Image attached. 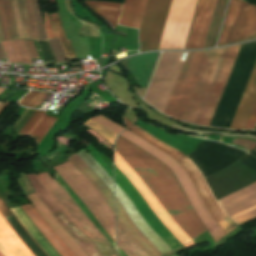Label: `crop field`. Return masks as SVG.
I'll use <instances>...</instances> for the list:
<instances>
[{
  "label": "crop field",
  "mask_w": 256,
  "mask_h": 256,
  "mask_svg": "<svg viewBox=\"0 0 256 256\" xmlns=\"http://www.w3.org/2000/svg\"><path fill=\"white\" fill-rule=\"evenodd\" d=\"M27 199L33 204L36 212L41 218L49 225L59 239L65 244V246L72 252L74 256H87L77 242L64 230L54 216L43 205L39 198L34 195L26 196Z\"/></svg>",
  "instance_id": "d9b57169"
},
{
  "label": "crop field",
  "mask_w": 256,
  "mask_h": 256,
  "mask_svg": "<svg viewBox=\"0 0 256 256\" xmlns=\"http://www.w3.org/2000/svg\"><path fill=\"white\" fill-rule=\"evenodd\" d=\"M55 178L57 182L61 185V187L66 191V193L72 198V200L79 206V208L85 213V215L90 219V221L94 224V226L105 236V238L109 241L112 247L116 251V246L105 231V229L101 226V224L96 220V218L91 214V212L87 209V207L83 204V202L79 199V197L74 193V191L68 186V184L61 178L58 173H55Z\"/></svg>",
  "instance_id": "eef30255"
},
{
  "label": "crop field",
  "mask_w": 256,
  "mask_h": 256,
  "mask_svg": "<svg viewBox=\"0 0 256 256\" xmlns=\"http://www.w3.org/2000/svg\"><path fill=\"white\" fill-rule=\"evenodd\" d=\"M26 1V6H27V12H28V19H29V24L31 28V33H32V38L33 40H40L35 19H34V13H33V7L31 4V0H25Z\"/></svg>",
  "instance_id": "d32e631a"
},
{
  "label": "crop field",
  "mask_w": 256,
  "mask_h": 256,
  "mask_svg": "<svg viewBox=\"0 0 256 256\" xmlns=\"http://www.w3.org/2000/svg\"><path fill=\"white\" fill-rule=\"evenodd\" d=\"M18 1H19L20 9H21V15H22L23 25H24V29H25L26 39L32 40L30 28H29V24H28V20H27L25 2H24V0H18Z\"/></svg>",
  "instance_id": "028f5c9d"
},
{
  "label": "crop field",
  "mask_w": 256,
  "mask_h": 256,
  "mask_svg": "<svg viewBox=\"0 0 256 256\" xmlns=\"http://www.w3.org/2000/svg\"><path fill=\"white\" fill-rule=\"evenodd\" d=\"M172 0H148L142 21L140 52L158 50Z\"/></svg>",
  "instance_id": "d8731c3e"
},
{
  "label": "crop field",
  "mask_w": 256,
  "mask_h": 256,
  "mask_svg": "<svg viewBox=\"0 0 256 256\" xmlns=\"http://www.w3.org/2000/svg\"><path fill=\"white\" fill-rule=\"evenodd\" d=\"M158 54L148 53L128 59L129 71L138 85L146 87Z\"/></svg>",
  "instance_id": "bc2a9ffb"
},
{
  "label": "crop field",
  "mask_w": 256,
  "mask_h": 256,
  "mask_svg": "<svg viewBox=\"0 0 256 256\" xmlns=\"http://www.w3.org/2000/svg\"><path fill=\"white\" fill-rule=\"evenodd\" d=\"M115 165L127 177V179L138 190L146 203L160 219V221L176 236V238L183 244L192 241L173 221L170 215L162 208L158 200L144 185L137 174L123 161L120 155L115 150Z\"/></svg>",
  "instance_id": "3316defc"
},
{
  "label": "crop field",
  "mask_w": 256,
  "mask_h": 256,
  "mask_svg": "<svg viewBox=\"0 0 256 256\" xmlns=\"http://www.w3.org/2000/svg\"><path fill=\"white\" fill-rule=\"evenodd\" d=\"M56 120L55 117L44 115L42 120L39 122V124L35 127V129L31 132L29 137H32L35 139L37 145L43 138V136L46 134L48 129L51 127V125Z\"/></svg>",
  "instance_id": "bd1437ed"
},
{
  "label": "crop field",
  "mask_w": 256,
  "mask_h": 256,
  "mask_svg": "<svg viewBox=\"0 0 256 256\" xmlns=\"http://www.w3.org/2000/svg\"><path fill=\"white\" fill-rule=\"evenodd\" d=\"M215 1L216 0H198L185 49H198L203 47Z\"/></svg>",
  "instance_id": "cbeb9de0"
},
{
  "label": "crop field",
  "mask_w": 256,
  "mask_h": 256,
  "mask_svg": "<svg viewBox=\"0 0 256 256\" xmlns=\"http://www.w3.org/2000/svg\"><path fill=\"white\" fill-rule=\"evenodd\" d=\"M256 101V65L230 129H244ZM256 123V103L245 129H253Z\"/></svg>",
  "instance_id": "5142ce71"
},
{
  "label": "crop field",
  "mask_w": 256,
  "mask_h": 256,
  "mask_svg": "<svg viewBox=\"0 0 256 256\" xmlns=\"http://www.w3.org/2000/svg\"><path fill=\"white\" fill-rule=\"evenodd\" d=\"M5 53L10 62H18L11 40L2 42Z\"/></svg>",
  "instance_id": "e1f06a70"
},
{
  "label": "crop field",
  "mask_w": 256,
  "mask_h": 256,
  "mask_svg": "<svg viewBox=\"0 0 256 256\" xmlns=\"http://www.w3.org/2000/svg\"><path fill=\"white\" fill-rule=\"evenodd\" d=\"M0 24L5 40L17 38L10 0H0Z\"/></svg>",
  "instance_id": "730fd06b"
},
{
  "label": "crop field",
  "mask_w": 256,
  "mask_h": 256,
  "mask_svg": "<svg viewBox=\"0 0 256 256\" xmlns=\"http://www.w3.org/2000/svg\"><path fill=\"white\" fill-rule=\"evenodd\" d=\"M22 209L28 215V217L33 221L41 233L46 237V239L51 243V245L62 255V256H73L68 249L63 245V243L58 239V237L52 232V230L47 226V224L40 218V216L33 210L31 205L22 206Z\"/></svg>",
  "instance_id": "dafd665d"
},
{
  "label": "crop field",
  "mask_w": 256,
  "mask_h": 256,
  "mask_svg": "<svg viewBox=\"0 0 256 256\" xmlns=\"http://www.w3.org/2000/svg\"><path fill=\"white\" fill-rule=\"evenodd\" d=\"M7 206L4 204V202L1 200L0 198V213L4 210H7ZM11 212V211H10ZM12 213V212H11ZM2 215V213H1ZM12 215L14 216V214L12 213ZM3 216V215H2ZM4 217V216H3ZM15 217V216H14ZM15 219L17 220V218L15 217ZM18 221V220H17ZM19 223V222H18ZM20 224V223H19ZM21 225V224H20ZM22 227V226H21ZM23 228V227H22ZM24 229V228H23ZM25 230V229H24ZM26 231V230H25ZM27 232V231H26ZM31 237V236H30ZM21 238V237H20ZM32 238V237H31ZM22 239V238H21ZM26 244V243H25ZM27 245V244H26ZM38 245V244H37ZM28 246V245H27ZM29 248V247H28ZM30 249V248H29ZM45 253V252H44Z\"/></svg>",
  "instance_id": "425ffa30"
},
{
  "label": "crop field",
  "mask_w": 256,
  "mask_h": 256,
  "mask_svg": "<svg viewBox=\"0 0 256 256\" xmlns=\"http://www.w3.org/2000/svg\"><path fill=\"white\" fill-rule=\"evenodd\" d=\"M239 46L209 51L183 121L209 125Z\"/></svg>",
  "instance_id": "ac0d7876"
},
{
  "label": "crop field",
  "mask_w": 256,
  "mask_h": 256,
  "mask_svg": "<svg viewBox=\"0 0 256 256\" xmlns=\"http://www.w3.org/2000/svg\"><path fill=\"white\" fill-rule=\"evenodd\" d=\"M232 144L245 147L249 150L256 147V142L251 141V140L235 139V140L232 141Z\"/></svg>",
  "instance_id": "c035e120"
},
{
  "label": "crop field",
  "mask_w": 256,
  "mask_h": 256,
  "mask_svg": "<svg viewBox=\"0 0 256 256\" xmlns=\"http://www.w3.org/2000/svg\"><path fill=\"white\" fill-rule=\"evenodd\" d=\"M118 250H119V254L121 255V256H126L125 254H124V252L118 247Z\"/></svg>",
  "instance_id": "dbb93151"
},
{
  "label": "crop field",
  "mask_w": 256,
  "mask_h": 256,
  "mask_svg": "<svg viewBox=\"0 0 256 256\" xmlns=\"http://www.w3.org/2000/svg\"><path fill=\"white\" fill-rule=\"evenodd\" d=\"M114 196L117 198L134 225L161 251L162 254L168 250H171V248L163 240H161L141 218L133 204L116 185V183Z\"/></svg>",
  "instance_id": "733c2abd"
},
{
  "label": "crop field",
  "mask_w": 256,
  "mask_h": 256,
  "mask_svg": "<svg viewBox=\"0 0 256 256\" xmlns=\"http://www.w3.org/2000/svg\"><path fill=\"white\" fill-rule=\"evenodd\" d=\"M114 200L118 211L117 220L121 226L141 245V247L150 256H161L162 254L159 252V250L133 225L115 197Z\"/></svg>",
  "instance_id": "214f88e0"
},
{
  "label": "crop field",
  "mask_w": 256,
  "mask_h": 256,
  "mask_svg": "<svg viewBox=\"0 0 256 256\" xmlns=\"http://www.w3.org/2000/svg\"><path fill=\"white\" fill-rule=\"evenodd\" d=\"M93 241V240H92ZM103 256H117L113 249L108 244L93 241Z\"/></svg>",
  "instance_id": "0bd39190"
},
{
  "label": "crop field",
  "mask_w": 256,
  "mask_h": 256,
  "mask_svg": "<svg viewBox=\"0 0 256 256\" xmlns=\"http://www.w3.org/2000/svg\"><path fill=\"white\" fill-rule=\"evenodd\" d=\"M32 187L37 193L40 200L50 210V212L57 218L60 224L66 229V231L78 242L82 249L88 256H102L87 236L81 232L72 221L65 215L60 207L52 199L51 195L46 191L37 175L26 174Z\"/></svg>",
  "instance_id": "28ad6ade"
},
{
  "label": "crop field",
  "mask_w": 256,
  "mask_h": 256,
  "mask_svg": "<svg viewBox=\"0 0 256 256\" xmlns=\"http://www.w3.org/2000/svg\"><path fill=\"white\" fill-rule=\"evenodd\" d=\"M147 0H125L119 24L140 29Z\"/></svg>",
  "instance_id": "92a150f3"
},
{
  "label": "crop field",
  "mask_w": 256,
  "mask_h": 256,
  "mask_svg": "<svg viewBox=\"0 0 256 256\" xmlns=\"http://www.w3.org/2000/svg\"><path fill=\"white\" fill-rule=\"evenodd\" d=\"M20 63L32 64L23 40H12Z\"/></svg>",
  "instance_id": "120bbe31"
},
{
  "label": "crop field",
  "mask_w": 256,
  "mask_h": 256,
  "mask_svg": "<svg viewBox=\"0 0 256 256\" xmlns=\"http://www.w3.org/2000/svg\"><path fill=\"white\" fill-rule=\"evenodd\" d=\"M90 154L97 160V162L104 168V170L110 175V177L113 179L112 177V171L109 169V167L104 163V161L98 157L92 150L89 151Z\"/></svg>",
  "instance_id": "d23c7cc5"
},
{
  "label": "crop field",
  "mask_w": 256,
  "mask_h": 256,
  "mask_svg": "<svg viewBox=\"0 0 256 256\" xmlns=\"http://www.w3.org/2000/svg\"><path fill=\"white\" fill-rule=\"evenodd\" d=\"M87 6L97 15L107 20L112 26H116L121 7L120 4H114L101 1L85 0Z\"/></svg>",
  "instance_id": "4177f3b9"
},
{
  "label": "crop field",
  "mask_w": 256,
  "mask_h": 256,
  "mask_svg": "<svg viewBox=\"0 0 256 256\" xmlns=\"http://www.w3.org/2000/svg\"><path fill=\"white\" fill-rule=\"evenodd\" d=\"M92 119L96 120L97 122L101 123L102 125L106 126L107 128H109L110 130L114 131L117 134L125 129L100 114Z\"/></svg>",
  "instance_id": "5866460e"
},
{
  "label": "crop field",
  "mask_w": 256,
  "mask_h": 256,
  "mask_svg": "<svg viewBox=\"0 0 256 256\" xmlns=\"http://www.w3.org/2000/svg\"><path fill=\"white\" fill-rule=\"evenodd\" d=\"M129 129H131L132 131H134L135 133L140 135L142 138L147 140L149 143H151L155 147L159 148L163 152L172 156L185 168V170L187 171V173L193 180L195 186L197 187L210 214L213 216V218L216 220V222L219 224V226L224 230V232L226 234L229 233L231 230H233L235 227H237L223 213L222 209L220 208L217 201L215 200V198H214L206 180L204 179L203 175L201 174L200 170L196 167V165L187 156L181 154L180 152L169 147L168 145L155 139L154 137L149 135L147 132H145L144 130H142L136 126H133Z\"/></svg>",
  "instance_id": "f4fd0767"
},
{
  "label": "crop field",
  "mask_w": 256,
  "mask_h": 256,
  "mask_svg": "<svg viewBox=\"0 0 256 256\" xmlns=\"http://www.w3.org/2000/svg\"><path fill=\"white\" fill-rule=\"evenodd\" d=\"M255 130H256V126H255V128H254Z\"/></svg>",
  "instance_id": "1d79db26"
},
{
  "label": "crop field",
  "mask_w": 256,
  "mask_h": 256,
  "mask_svg": "<svg viewBox=\"0 0 256 256\" xmlns=\"http://www.w3.org/2000/svg\"><path fill=\"white\" fill-rule=\"evenodd\" d=\"M254 37H256V5L232 0L219 45Z\"/></svg>",
  "instance_id": "e52e79f7"
},
{
  "label": "crop field",
  "mask_w": 256,
  "mask_h": 256,
  "mask_svg": "<svg viewBox=\"0 0 256 256\" xmlns=\"http://www.w3.org/2000/svg\"><path fill=\"white\" fill-rule=\"evenodd\" d=\"M0 252L5 256H33L17 234L0 215ZM0 253V256H4Z\"/></svg>",
  "instance_id": "4a817a6b"
},
{
  "label": "crop field",
  "mask_w": 256,
  "mask_h": 256,
  "mask_svg": "<svg viewBox=\"0 0 256 256\" xmlns=\"http://www.w3.org/2000/svg\"><path fill=\"white\" fill-rule=\"evenodd\" d=\"M77 154L99 176V178L105 183L110 191L113 192V180L101 168V166L84 150L78 151Z\"/></svg>",
  "instance_id": "750c4746"
},
{
  "label": "crop field",
  "mask_w": 256,
  "mask_h": 256,
  "mask_svg": "<svg viewBox=\"0 0 256 256\" xmlns=\"http://www.w3.org/2000/svg\"><path fill=\"white\" fill-rule=\"evenodd\" d=\"M84 125L92 128L94 131H96L100 136H102L105 140H107L110 144L113 145L115 137L117 134H115L114 132L110 131L109 129H107L106 127L102 126L101 124L93 121V120H89L87 121ZM87 127V128H88ZM89 128V129H90ZM91 129V130H92ZM111 145V146H112Z\"/></svg>",
  "instance_id": "1d83c4d3"
},
{
  "label": "crop field",
  "mask_w": 256,
  "mask_h": 256,
  "mask_svg": "<svg viewBox=\"0 0 256 256\" xmlns=\"http://www.w3.org/2000/svg\"><path fill=\"white\" fill-rule=\"evenodd\" d=\"M50 16H51L55 36L59 38L60 43H61L68 59L75 60L76 59L75 52L72 48L70 41L69 40L67 41V39H66L62 24L60 22L59 14L54 13V14H50Z\"/></svg>",
  "instance_id": "d3111659"
},
{
  "label": "crop field",
  "mask_w": 256,
  "mask_h": 256,
  "mask_svg": "<svg viewBox=\"0 0 256 256\" xmlns=\"http://www.w3.org/2000/svg\"><path fill=\"white\" fill-rule=\"evenodd\" d=\"M45 114L44 111H41L40 114L37 116V118L34 120V122L29 126V128L22 134V136L27 137L29 133L34 129V127L38 124V122L41 120L43 115Z\"/></svg>",
  "instance_id": "5d738f31"
},
{
  "label": "crop field",
  "mask_w": 256,
  "mask_h": 256,
  "mask_svg": "<svg viewBox=\"0 0 256 256\" xmlns=\"http://www.w3.org/2000/svg\"><path fill=\"white\" fill-rule=\"evenodd\" d=\"M44 15H45V24H44V26H45L47 38L48 39L55 38L54 34H53V31H52V28H51V25H50V22H49L47 11L44 12Z\"/></svg>",
  "instance_id": "03da06ac"
},
{
  "label": "crop field",
  "mask_w": 256,
  "mask_h": 256,
  "mask_svg": "<svg viewBox=\"0 0 256 256\" xmlns=\"http://www.w3.org/2000/svg\"><path fill=\"white\" fill-rule=\"evenodd\" d=\"M49 95H50L49 93L41 92L26 107L36 109Z\"/></svg>",
  "instance_id": "b80d0937"
},
{
  "label": "crop field",
  "mask_w": 256,
  "mask_h": 256,
  "mask_svg": "<svg viewBox=\"0 0 256 256\" xmlns=\"http://www.w3.org/2000/svg\"><path fill=\"white\" fill-rule=\"evenodd\" d=\"M73 165H75L95 186V188L100 192V194L105 198V200L110 205L111 209L115 213V207L112 199V193L103 184V182L97 177V175L77 156V154H72L67 158Z\"/></svg>",
  "instance_id": "a9b5d70f"
},
{
  "label": "crop field",
  "mask_w": 256,
  "mask_h": 256,
  "mask_svg": "<svg viewBox=\"0 0 256 256\" xmlns=\"http://www.w3.org/2000/svg\"><path fill=\"white\" fill-rule=\"evenodd\" d=\"M9 103L4 102V104L2 105V107L0 108V115L2 114V112L5 110V108L8 106Z\"/></svg>",
  "instance_id": "89e229c0"
},
{
  "label": "crop field",
  "mask_w": 256,
  "mask_h": 256,
  "mask_svg": "<svg viewBox=\"0 0 256 256\" xmlns=\"http://www.w3.org/2000/svg\"><path fill=\"white\" fill-rule=\"evenodd\" d=\"M209 50L189 52L165 114L181 120Z\"/></svg>",
  "instance_id": "dd49c442"
},
{
  "label": "crop field",
  "mask_w": 256,
  "mask_h": 256,
  "mask_svg": "<svg viewBox=\"0 0 256 256\" xmlns=\"http://www.w3.org/2000/svg\"><path fill=\"white\" fill-rule=\"evenodd\" d=\"M218 203L237 226L256 218V182L218 200Z\"/></svg>",
  "instance_id": "22f410ed"
},
{
  "label": "crop field",
  "mask_w": 256,
  "mask_h": 256,
  "mask_svg": "<svg viewBox=\"0 0 256 256\" xmlns=\"http://www.w3.org/2000/svg\"><path fill=\"white\" fill-rule=\"evenodd\" d=\"M123 120L126 124V128L128 129L129 127L133 126L132 122H130L129 120H127L126 118L123 117Z\"/></svg>",
  "instance_id": "73cf0c24"
},
{
  "label": "crop field",
  "mask_w": 256,
  "mask_h": 256,
  "mask_svg": "<svg viewBox=\"0 0 256 256\" xmlns=\"http://www.w3.org/2000/svg\"><path fill=\"white\" fill-rule=\"evenodd\" d=\"M2 104H3V102L0 101V107H1Z\"/></svg>",
  "instance_id": "0fb4a251"
},
{
  "label": "crop field",
  "mask_w": 256,
  "mask_h": 256,
  "mask_svg": "<svg viewBox=\"0 0 256 256\" xmlns=\"http://www.w3.org/2000/svg\"><path fill=\"white\" fill-rule=\"evenodd\" d=\"M24 41H25V44H26V47L28 49L30 57L31 58H40L39 54H38V52H37V50L35 48L34 43L31 42V41H26V40H24Z\"/></svg>",
  "instance_id": "c21b1889"
},
{
  "label": "crop field",
  "mask_w": 256,
  "mask_h": 256,
  "mask_svg": "<svg viewBox=\"0 0 256 256\" xmlns=\"http://www.w3.org/2000/svg\"><path fill=\"white\" fill-rule=\"evenodd\" d=\"M120 135H122L123 137H125L126 139L131 141L132 143L136 144L137 146H139L146 152L150 153L154 157L160 159L173 171L175 176L178 178L183 190L185 191L186 195L188 196L189 200L191 201L193 207L195 208L198 216L203 221L204 225L206 226L209 234L211 235V237L213 238L215 243L222 236L225 235L224 232L222 231V229L217 225L215 220L209 214V212H208L206 206L204 205L201 197L199 196L192 180L190 179V177L188 176V174L186 173L184 168L177 161H175L169 155L158 150L154 146L150 145L144 139H142L138 135L130 132L129 130H125Z\"/></svg>",
  "instance_id": "34b2d1b8"
},
{
  "label": "crop field",
  "mask_w": 256,
  "mask_h": 256,
  "mask_svg": "<svg viewBox=\"0 0 256 256\" xmlns=\"http://www.w3.org/2000/svg\"><path fill=\"white\" fill-rule=\"evenodd\" d=\"M38 176L57 204L81 231H83L90 239L108 243L103 235L93 226L84 213L72 202L53 178H50L47 173Z\"/></svg>",
  "instance_id": "5a996713"
},
{
  "label": "crop field",
  "mask_w": 256,
  "mask_h": 256,
  "mask_svg": "<svg viewBox=\"0 0 256 256\" xmlns=\"http://www.w3.org/2000/svg\"><path fill=\"white\" fill-rule=\"evenodd\" d=\"M53 169L69 184L115 241V215L94 186L69 161Z\"/></svg>",
  "instance_id": "412701ff"
},
{
  "label": "crop field",
  "mask_w": 256,
  "mask_h": 256,
  "mask_svg": "<svg viewBox=\"0 0 256 256\" xmlns=\"http://www.w3.org/2000/svg\"><path fill=\"white\" fill-rule=\"evenodd\" d=\"M115 149L192 240L207 231L176 177L164 163L120 135Z\"/></svg>",
  "instance_id": "8a807250"
},
{
  "label": "crop field",
  "mask_w": 256,
  "mask_h": 256,
  "mask_svg": "<svg viewBox=\"0 0 256 256\" xmlns=\"http://www.w3.org/2000/svg\"><path fill=\"white\" fill-rule=\"evenodd\" d=\"M115 182L129 197L139 214L160 238H162L172 249L182 245L159 221V219L154 215V213L151 211V209L148 207L136 189L116 167Z\"/></svg>",
  "instance_id": "d1516ede"
},
{
  "label": "crop field",
  "mask_w": 256,
  "mask_h": 256,
  "mask_svg": "<svg viewBox=\"0 0 256 256\" xmlns=\"http://www.w3.org/2000/svg\"><path fill=\"white\" fill-rule=\"evenodd\" d=\"M193 245H195L194 241H192V242H190V243H187V244H185L184 246H185L186 248H188V247L193 246Z\"/></svg>",
  "instance_id": "1f2cbd36"
},
{
  "label": "crop field",
  "mask_w": 256,
  "mask_h": 256,
  "mask_svg": "<svg viewBox=\"0 0 256 256\" xmlns=\"http://www.w3.org/2000/svg\"><path fill=\"white\" fill-rule=\"evenodd\" d=\"M28 233L33 237V239L39 244V246L46 252L48 256H60L57 251L49 244V242L44 238L32 221L27 217L21 207L10 209Z\"/></svg>",
  "instance_id": "00972430"
},
{
  "label": "crop field",
  "mask_w": 256,
  "mask_h": 256,
  "mask_svg": "<svg viewBox=\"0 0 256 256\" xmlns=\"http://www.w3.org/2000/svg\"><path fill=\"white\" fill-rule=\"evenodd\" d=\"M35 113V112H34ZM33 113V114H34ZM39 114V111H36V113L33 115V117L30 119V121L18 132V134H22L26 129H27V127L33 122V120L36 118V116Z\"/></svg>",
  "instance_id": "25e5ab78"
},
{
  "label": "crop field",
  "mask_w": 256,
  "mask_h": 256,
  "mask_svg": "<svg viewBox=\"0 0 256 256\" xmlns=\"http://www.w3.org/2000/svg\"><path fill=\"white\" fill-rule=\"evenodd\" d=\"M40 92L31 91L25 97H23L19 104L22 106L27 105L34 97H36Z\"/></svg>",
  "instance_id": "b54c1fbb"
},
{
  "label": "crop field",
  "mask_w": 256,
  "mask_h": 256,
  "mask_svg": "<svg viewBox=\"0 0 256 256\" xmlns=\"http://www.w3.org/2000/svg\"><path fill=\"white\" fill-rule=\"evenodd\" d=\"M118 246L127 256H148L117 222Z\"/></svg>",
  "instance_id": "ae1a2a85"
}]
</instances>
